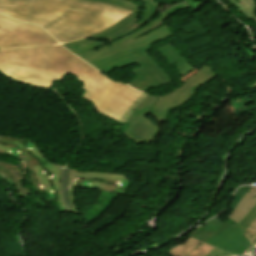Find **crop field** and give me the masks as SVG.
I'll return each instance as SVG.
<instances>
[{
	"label": "crop field",
	"mask_w": 256,
	"mask_h": 256,
	"mask_svg": "<svg viewBox=\"0 0 256 256\" xmlns=\"http://www.w3.org/2000/svg\"><path fill=\"white\" fill-rule=\"evenodd\" d=\"M256 217V205L249 211V213L242 219V221L239 223V226L241 227L243 233L248 228V226L251 224V222Z\"/></svg>",
	"instance_id": "crop-field-13"
},
{
	"label": "crop field",
	"mask_w": 256,
	"mask_h": 256,
	"mask_svg": "<svg viewBox=\"0 0 256 256\" xmlns=\"http://www.w3.org/2000/svg\"><path fill=\"white\" fill-rule=\"evenodd\" d=\"M255 203L256 190L251 188L229 216L228 220L239 223L241 219L248 213V211L255 205Z\"/></svg>",
	"instance_id": "crop-field-11"
},
{
	"label": "crop field",
	"mask_w": 256,
	"mask_h": 256,
	"mask_svg": "<svg viewBox=\"0 0 256 256\" xmlns=\"http://www.w3.org/2000/svg\"><path fill=\"white\" fill-rule=\"evenodd\" d=\"M0 72L23 83L48 88L72 73L83 82L81 97L93 103L99 113L121 124L145 96L106 78L60 45L0 50Z\"/></svg>",
	"instance_id": "crop-field-1"
},
{
	"label": "crop field",
	"mask_w": 256,
	"mask_h": 256,
	"mask_svg": "<svg viewBox=\"0 0 256 256\" xmlns=\"http://www.w3.org/2000/svg\"><path fill=\"white\" fill-rule=\"evenodd\" d=\"M67 176H68V170L63 168V174H62V191H63V197H64V203L66 210H71L69 199L67 196Z\"/></svg>",
	"instance_id": "crop-field-14"
},
{
	"label": "crop field",
	"mask_w": 256,
	"mask_h": 256,
	"mask_svg": "<svg viewBox=\"0 0 256 256\" xmlns=\"http://www.w3.org/2000/svg\"><path fill=\"white\" fill-rule=\"evenodd\" d=\"M249 242L254 245L256 243V218L244 233Z\"/></svg>",
	"instance_id": "crop-field-16"
},
{
	"label": "crop field",
	"mask_w": 256,
	"mask_h": 256,
	"mask_svg": "<svg viewBox=\"0 0 256 256\" xmlns=\"http://www.w3.org/2000/svg\"><path fill=\"white\" fill-rule=\"evenodd\" d=\"M47 34L39 27L0 14V49L57 44Z\"/></svg>",
	"instance_id": "crop-field-6"
},
{
	"label": "crop field",
	"mask_w": 256,
	"mask_h": 256,
	"mask_svg": "<svg viewBox=\"0 0 256 256\" xmlns=\"http://www.w3.org/2000/svg\"><path fill=\"white\" fill-rule=\"evenodd\" d=\"M0 12L42 26L59 42L92 36L131 13L87 0H0Z\"/></svg>",
	"instance_id": "crop-field-2"
},
{
	"label": "crop field",
	"mask_w": 256,
	"mask_h": 256,
	"mask_svg": "<svg viewBox=\"0 0 256 256\" xmlns=\"http://www.w3.org/2000/svg\"><path fill=\"white\" fill-rule=\"evenodd\" d=\"M243 15L254 19L256 18V1L255 0H229ZM251 3V4H250Z\"/></svg>",
	"instance_id": "crop-field-12"
},
{
	"label": "crop field",
	"mask_w": 256,
	"mask_h": 256,
	"mask_svg": "<svg viewBox=\"0 0 256 256\" xmlns=\"http://www.w3.org/2000/svg\"><path fill=\"white\" fill-rule=\"evenodd\" d=\"M187 7L184 4L171 7L147 27L113 43L84 39L64 44V46L105 75L116 68L120 69L137 62L141 67L131 71L137 78L127 84L145 92L173 81L164 69L146 53L151 50V44L171 37L173 34L170 32L169 25H165L135 40L133 38L167 18L173 12Z\"/></svg>",
	"instance_id": "crop-field-3"
},
{
	"label": "crop field",
	"mask_w": 256,
	"mask_h": 256,
	"mask_svg": "<svg viewBox=\"0 0 256 256\" xmlns=\"http://www.w3.org/2000/svg\"><path fill=\"white\" fill-rule=\"evenodd\" d=\"M250 189V187L244 186L239 188L233 198L231 199L229 203V207L235 208L236 205L239 203V201L242 199V197L245 195V193Z\"/></svg>",
	"instance_id": "crop-field-15"
},
{
	"label": "crop field",
	"mask_w": 256,
	"mask_h": 256,
	"mask_svg": "<svg viewBox=\"0 0 256 256\" xmlns=\"http://www.w3.org/2000/svg\"><path fill=\"white\" fill-rule=\"evenodd\" d=\"M172 256H232L219 249L213 248L199 240L190 238L186 242L172 248L169 252Z\"/></svg>",
	"instance_id": "crop-field-8"
},
{
	"label": "crop field",
	"mask_w": 256,
	"mask_h": 256,
	"mask_svg": "<svg viewBox=\"0 0 256 256\" xmlns=\"http://www.w3.org/2000/svg\"><path fill=\"white\" fill-rule=\"evenodd\" d=\"M216 76L217 74L212 72L211 68L203 66L195 75L186 79L183 84L164 95L161 99L146 95L126 120L131 125L123 133V136L139 145L144 141L149 142L158 133L159 128L145 118L148 113L154 115L159 122L165 121L167 112L170 109L186 103L198 87L206 84Z\"/></svg>",
	"instance_id": "crop-field-4"
},
{
	"label": "crop field",
	"mask_w": 256,
	"mask_h": 256,
	"mask_svg": "<svg viewBox=\"0 0 256 256\" xmlns=\"http://www.w3.org/2000/svg\"><path fill=\"white\" fill-rule=\"evenodd\" d=\"M158 53L169 63H175L178 66L176 70L181 76L195 69L170 43L156 48Z\"/></svg>",
	"instance_id": "crop-field-10"
},
{
	"label": "crop field",
	"mask_w": 256,
	"mask_h": 256,
	"mask_svg": "<svg viewBox=\"0 0 256 256\" xmlns=\"http://www.w3.org/2000/svg\"><path fill=\"white\" fill-rule=\"evenodd\" d=\"M192 237L237 255L250 247L236 226L220 220L218 216Z\"/></svg>",
	"instance_id": "crop-field-7"
},
{
	"label": "crop field",
	"mask_w": 256,
	"mask_h": 256,
	"mask_svg": "<svg viewBox=\"0 0 256 256\" xmlns=\"http://www.w3.org/2000/svg\"><path fill=\"white\" fill-rule=\"evenodd\" d=\"M212 220H213V219H212ZM210 221H211V220H210ZM210 221H209V222H210ZM206 224H207V223H206ZM206 224H204V225H206ZM204 225H203V226H204ZM203 226H201V227L197 228L196 230L192 231L191 233L187 234V236H189V237L192 236V235L195 234L199 229H201Z\"/></svg>",
	"instance_id": "crop-field-17"
},
{
	"label": "crop field",
	"mask_w": 256,
	"mask_h": 256,
	"mask_svg": "<svg viewBox=\"0 0 256 256\" xmlns=\"http://www.w3.org/2000/svg\"><path fill=\"white\" fill-rule=\"evenodd\" d=\"M24 175H27V182L29 187L33 188L29 181L27 167L24 160H18L17 166L0 160V176L6 179L10 185L15 183L19 194L23 198L30 196V194H33L32 192L24 188L22 181Z\"/></svg>",
	"instance_id": "crop-field-9"
},
{
	"label": "crop field",
	"mask_w": 256,
	"mask_h": 256,
	"mask_svg": "<svg viewBox=\"0 0 256 256\" xmlns=\"http://www.w3.org/2000/svg\"><path fill=\"white\" fill-rule=\"evenodd\" d=\"M120 6L133 11L123 20L90 38L114 41L134 32L138 27L156 15L158 4L152 0H93Z\"/></svg>",
	"instance_id": "crop-field-5"
}]
</instances>
